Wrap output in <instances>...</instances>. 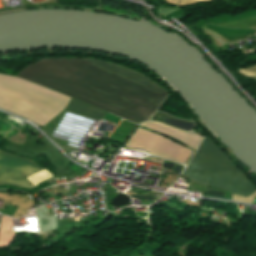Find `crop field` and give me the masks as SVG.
<instances>
[{"label":"crop field","mask_w":256,"mask_h":256,"mask_svg":"<svg viewBox=\"0 0 256 256\" xmlns=\"http://www.w3.org/2000/svg\"><path fill=\"white\" fill-rule=\"evenodd\" d=\"M65 110L99 120H101L105 114L103 111L94 109L84 103L75 100Z\"/></svg>","instance_id":"obj_7"},{"label":"crop field","mask_w":256,"mask_h":256,"mask_svg":"<svg viewBox=\"0 0 256 256\" xmlns=\"http://www.w3.org/2000/svg\"><path fill=\"white\" fill-rule=\"evenodd\" d=\"M73 99L27 81L0 74V108L45 125Z\"/></svg>","instance_id":"obj_2"},{"label":"crop field","mask_w":256,"mask_h":256,"mask_svg":"<svg viewBox=\"0 0 256 256\" xmlns=\"http://www.w3.org/2000/svg\"><path fill=\"white\" fill-rule=\"evenodd\" d=\"M182 176L245 197L256 190L246 175L209 138H205Z\"/></svg>","instance_id":"obj_3"},{"label":"crop field","mask_w":256,"mask_h":256,"mask_svg":"<svg viewBox=\"0 0 256 256\" xmlns=\"http://www.w3.org/2000/svg\"><path fill=\"white\" fill-rule=\"evenodd\" d=\"M74 59L169 93L132 70L92 59ZM74 59H42L27 66L17 76L53 88L135 123L148 120L167 96Z\"/></svg>","instance_id":"obj_1"},{"label":"crop field","mask_w":256,"mask_h":256,"mask_svg":"<svg viewBox=\"0 0 256 256\" xmlns=\"http://www.w3.org/2000/svg\"><path fill=\"white\" fill-rule=\"evenodd\" d=\"M140 126H144L151 130L165 134L171 138L178 140L181 143L189 145L190 147H192L195 150L202 140V137L187 134L185 132L170 128V127L163 125L159 122H145L143 124H140Z\"/></svg>","instance_id":"obj_6"},{"label":"crop field","mask_w":256,"mask_h":256,"mask_svg":"<svg viewBox=\"0 0 256 256\" xmlns=\"http://www.w3.org/2000/svg\"><path fill=\"white\" fill-rule=\"evenodd\" d=\"M239 72L246 76L256 77V66L250 67L248 69L239 70Z\"/></svg>","instance_id":"obj_10"},{"label":"crop field","mask_w":256,"mask_h":256,"mask_svg":"<svg viewBox=\"0 0 256 256\" xmlns=\"http://www.w3.org/2000/svg\"><path fill=\"white\" fill-rule=\"evenodd\" d=\"M254 196H256V191L254 193H252L248 198L241 197V196L233 194L232 200L252 203V199H253Z\"/></svg>","instance_id":"obj_9"},{"label":"crop field","mask_w":256,"mask_h":256,"mask_svg":"<svg viewBox=\"0 0 256 256\" xmlns=\"http://www.w3.org/2000/svg\"><path fill=\"white\" fill-rule=\"evenodd\" d=\"M222 26H229V27H252L256 26V16L214 22Z\"/></svg>","instance_id":"obj_8"},{"label":"crop field","mask_w":256,"mask_h":256,"mask_svg":"<svg viewBox=\"0 0 256 256\" xmlns=\"http://www.w3.org/2000/svg\"><path fill=\"white\" fill-rule=\"evenodd\" d=\"M41 169L36 163L27 158L0 150V185H10L27 189L33 188L40 181L54 176L47 170ZM35 171L38 172L33 173Z\"/></svg>","instance_id":"obj_4"},{"label":"crop field","mask_w":256,"mask_h":256,"mask_svg":"<svg viewBox=\"0 0 256 256\" xmlns=\"http://www.w3.org/2000/svg\"><path fill=\"white\" fill-rule=\"evenodd\" d=\"M128 148L145 149L156 156L185 164L192 151L169 141L162 136L138 128L125 145ZM146 151V152H147Z\"/></svg>","instance_id":"obj_5"}]
</instances>
